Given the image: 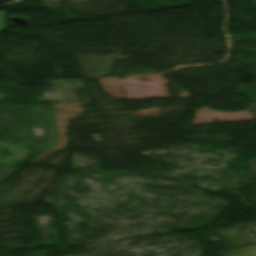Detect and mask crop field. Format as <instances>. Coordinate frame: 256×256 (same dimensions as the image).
Returning <instances> with one entry per match:
<instances>
[{"label":"crop field","mask_w":256,"mask_h":256,"mask_svg":"<svg viewBox=\"0 0 256 256\" xmlns=\"http://www.w3.org/2000/svg\"><path fill=\"white\" fill-rule=\"evenodd\" d=\"M6 12H0V33L3 32Z\"/></svg>","instance_id":"1"}]
</instances>
